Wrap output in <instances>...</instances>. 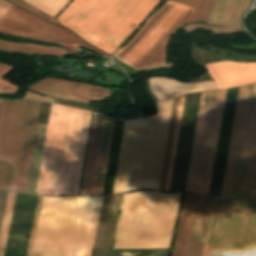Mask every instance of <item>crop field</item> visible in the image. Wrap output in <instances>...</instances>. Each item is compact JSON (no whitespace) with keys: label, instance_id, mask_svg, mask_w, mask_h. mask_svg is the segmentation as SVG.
Wrapping results in <instances>:
<instances>
[{"label":"crop field","instance_id":"1","mask_svg":"<svg viewBox=\"0 0 256 256\" xmlns=\"http://www.w3.org/2000/svg\"><path fill=\"white\" fill-rule=\"evenodd\" d=\"M90 115L52 104L36 193L77 195Z\"/></svg>","mask_w":256,"mask_h":256},{"label":"crop field","instance_id":"2","mask_svg":"<svg viewBox=\"0 0 256 256\" xmlns=\"http://www.w3.org/2000/svg\"><path fill=\"white\" fill-rule=\"evenodd\" d=\"M103 197H44L31 256H91Z\"/></svg>","mask_w":256,"mask_h":256},{"label":"crop field","instance_id":"3","mask_svg":"<svg viewBox=\"0 0 256 256\" xmlns=\"http://www.w3.org/2000/svg\"><path fill=\"white\" fill-rule=\"evenodd\" d=\"M172 102L158 103L149 119L125 122L113 194L158 189Z\"/></svg>","mask_w":256,"mask_h":256},{"label":"crop field","instance_id":"4","mask_svg":"<svg viewBox=\"0 0 256 256\" xmlns=\"http://www.w3.org/2000/svg\"><path fill=\"white\" fill-rule=\"evenodd\" d=\"M158 2L73 0L56 19L87 42L112 54Z\"/></svg>","mask_w":256,"mask_h":256},{"label":"crop field","instance_id":"5","mask_svg":"<svg viewBox=\"0 0 256 256\" xmlns=\"http://www.w3.org/2000/svg\"><path fill=\"white\" fill-rule=\"evenodd\" d=\"M181 194H124L113 249L170 248Z\"/></svg>","mask_w":256,"mask_h":256},{"label":"crop field","instance_id":"6","mask_svg":"<svg viewBox=\"0 0 256 256\" xmlns=\"http://www.w3.org/2000/svg\"><path fill=\"white\" fill-rule=\"evenodd\" d=\"M238 254L256 256V201L215 197L202 256Z\"/></svg>","mask_w":256,"mask_h":256},{"label":"crop field","instance_id":"7","mask_svg":"<svg viewBox=\"0 0 256 256\" xmlns=\"http://www.w3.org/2000/svg\"><path fill=\"white\" fill-rule=\"evenodd\" d=\"M192 10L168 1L114 57L141 71L165 65L169 37L189 19Z\"/></svg>","mask_w":256,"mask_h":256},{"label":"crop field","instance_id":"8","mask_svg":"<svg viewBox=\"0 0 256 256\" xmlns=\"http://www.w3.org/2000/svg\"><path fill=\"white\" fill-rule=\"evenodd\" d=\"M227 90L201 95L185 192L209 194ZM204 96L216 102H202Z\"/></svg>","mask_w":256,"mask_h":256},{"label":"crop field","instance_id":"9","mask_svg":"<svg viewBox=\"0 0 256 256\" xmlns=\"http://www.w3.org/2000/svg\"><path fill=\"white\" fill-rule=\"evenodd\" d=\"M247 88L248 86L240 87V89L238 87V88L230 89L227 92V98H226V104H225V110H224V116H223V122L221 127V133H220V139H219V145H218V151H217V157L215 162L210 195L220 196L221 194L224 170L226 165L229 141L231 136L233 118H234L238 89H239L236 113L234 118L231 142L229 147L227 165H226L222 194H221V196L229 197L234 164H235L236 153H237V147H238V141H239V135H240V129H241V123H242L244 106H245V100H246V94H247Z\"/></svg>","mask_w":256,"mask_h":256},{"label":"crop field","instance_id":"10","mask_svg":"<svg viewBox=\"0 0 256 256\" xmlns=\"http://www.w3.org/2000/svg\"><path fill=\"white\" fill-rule=\"evenodd\" d=\"M0 32L27 39L60 43L73 54L82 46L107 58L110 57L90 47L59 25L34 16L14 5H11L0 21Z\"/></svg>","mask_w":256,"mask_h":256},{"label":"crop field","instance_id":"11","mask_svg":"<svg viewBox=\"0 0 256 256\" xmlns=\"http://www.w3.org/2000/svg\"><path fill=\"white\" fill-rule=\"evenodd\" d=\"M28 88L39 92L76 97L91 101H103L108 98L111 91L89 84L59 79H44Z\"/></svg>","mask_w":256,"mask_h":256},{"label":"crop field","instance_id":"12","mask_svg":"<svg viewBox=\"0 0 256 256\" xmlns=\"http://www.w3.org/2000/svg\"><path fill=\"white\" fill-rule=\"evenodd\" d=\"M218 90L256 82V62H218L205 65Z\"/></svg>","mask_w":256,"mask_h":256},{"label":"crop field","instance_id":"13","mask_svg":"<svg viewBox=\"0 0 256 256\" xmlns=\"http://www.w3.org/2000/svg\"><path fill=\"white\" fill-rule=\"evenodd\" d=\"M121 196L104 197L93 249H110Z\"/></svg>","mask_w":256,"mask_h":256},{"label":"crop field","instance_id":"14","mask_svg":"<svg viewBox=\"0 0 256 256\" xmlns=\"http://www.w3.org/2000/svg\"><path fill=\"white\" fill-rule=\"evenodd\" d=\"M214 197L199 196L187 256H201Z\"/></svg>","mask_w":256,"mask_h":256},{"label":"crop field","instance_id":"15","mask_svg":"<svg viewBox=\"0 0 256 256\" xmlns=\"http://www.w3.org/2000/svg\"><path fill=\"white\" fill-rule=\"evenodd\" d=\"M149 84L159 101L191 92L217 89L214 82L186 84L166 78H151Z\"/></svg>","mask_w":256,"mask_h":256},{"label":"crop field","instance_id":"16","mask_svg":"<svg viewBox=\"0 0 256 256\" xmlns=\"http://www.w3.org/2000/svg\"><path fill=\"white\" fill-rule=\"evenodd\" d=\"M198 196L185 194L172 256H186Z\"/></svg>","mask_w":256,"mask_h":256},{"label":"crop field","instance_id":"17","mask_svg":"<svg viewBox=\"0 0 256 256\" xmlns=\"http://www.w3.org/2000/svg\"><path fill=\"white\" fill-rule=\"evenodd\" d=\"M255 143H256V87H255V93H254V99H253V105H252V111H251V117H250V123H249V129H248V135H247V141H246L237 198L246 199V196H247Z\"/></svg>","mask_w":256,"mask_h":256},{"label":"crop field","instance_id":"18","mask_svg":"<svg viewBox=\"0 0 256 256\" xmlns=\"http://www.w3.org/2000/svg\"><path fill=\"white\" fill-rule=\"evenodd\" d=\"M113 123V119L105 117L91 195L102 194L103 191Z\"/></svg>","mask_w":256,"mask_h":256},{"label":"crop field","instance_id":"19","mask_svg":"<svg viewBox=\"0 0 256 256\" xmlns=\"http://www.w3.org/2000/svg\"><path fill=\"white\" fill-rule=\"evenodd\" d=\"M244 0H215L207 24L235 27Z\"/></svg>","mask_w":256,"mask_h":256},{"label":"crop field","instance_id":"20","mask_svg":"<svg viewBox=\"0 0 256 256\" xmlns=\"http://www.w3.org/2000/svg\"><path fill=\"white\" fill-rule=\"evenodd\" d=\"M124 122L115 120L103 195L112 194Z\"/></svg>","mask_w":256,"mask_h":256},{"label":"crop field","instance_id":"21","mask_svg":"<svg viewBox=\"0 0 256 256\" xmlns=\"http://www.w3.org/2000/svg\"><path fill=\"white\" fill-rule=\"evenodd\" d=\"M254 86H255V84L250 85L248 88V94H247V100H246V106H245L244 118H243V123H242V129H241V135H240V141H239V147H238V153H237V159H236V164H235V170H234V176H233L230 197H236V194H237V188H238V182H239V176H240V170H241V164H242V158H243V152H244V146H245V140H246L252 98H253V92H254Z\"/></svg>","mask_w":256,"mask_h":256},{"label":"crop field","instance_id":"22","mask_svg":"<svg viewBox=\"0 0 256 256\" xmlns=\"http://www.w3.org/2000/svg\"><path fill=\"white\" fill-rule=\"evenodd\" d=\"M103 119H104L103 116L96 114L82 195H90L91 193V187H92L95 164H96L97 153L99 148Z\"/></svg>","mask_w":256,"mask_h":256},{"label":"crop field","instance_id":"23","mask_svg":"<svg viewBox=\"0 0 256 256\" xmlns=\"http://www.w3.org/2000/svg\"><path fill=\"white\" fill-rule=\"evenodd\" d=\"M47 125L38 124L26 192L35 193ZM39 134V135H37Z\"/></svg>","mask_w":256,"mask_h":256},{"label":"crop field","instance_id":"24","mask_svg":"<svg viewBox=\"0 0 256 256\" xmlns=\"http://www.w3.org/2000/svg\"><path fill=\"white\" fill-rule=\"evenodd\" d=\"M0 51H11L16 53L44 54L60 57L67 51L61 48L21 44L0 39Z\"/></svg>","mask_w":256,"mask_h":256},{"label":"crop field","instance_id":"25","mask_svg":"<svg viewBox=\"0 0 256 256\" xmlns=\"http://www.w3.org/2000/svg\"><path fill=\"white\" fill-rule=\"evenodd\" d=\"M171 1L194 8L191 18L186 23H193L194 21H207L209 9L213 2V0H205L204 2L203 0H171ZM200 6H201V9L199 11Z\"/></svg>","mask_w":256,"mask_h":256},{"label":"crop field","instance_id":"26","mask_svg":"<svg viewBox=\"0 0 256 256\" xmlns=\"http://www.w3.org/2000/svg\"><path fill=\"white\" fill-rule=\"evenodd\" d=\"M178 100H179V97L175 98L174 102H173V108H172V114H171V120H170V126H169V132H168V138H167V144H166V150H165V156H164V162H163V168H162V174H161V180H160V186H159V189H162V190H164V187H165V181H166V175H167V169H168V162H169V156H170V150H171V143H172V137H173V131H174V125H175Z\"/></svg>","mask_w":256,"mask_h":256},{"label":"crop field","instance_id":"27","mask_svg":"<svg viewBox=\"0 0 256 256\" xmlns=\"http://www.w3.org/2000/svg\"><path fill=\"white\" fill-rule=\"evenodd\" d=\"M52 17H56L70 0H24Z\"/></svg>","mask_w":256,"mask_h":256},{"label":"crop field","instance_id":"28","mask_svg":"<svg viewBox=\"0 0 256 256\" xmlns=\"http://www.w3.org/2000/svg\"><path fill=\"white\" fill-rule=\"evenodd\" d=\"M15 195H16V193L9 192L7 204L5 203L6 208H5L2 228H1V232H0V256H3L4 249H5V244H6L11 214H12V210H13Z\"/></svg>","mask_w":256,"mask_h":256},{"label":"crop field","instance_id":"29","mask_svg":"<svg viewBox=\"0 0 256 256\" xmlns=\"http://www.w3.org/2000/svg\"><path fill=\"white\" fill-rule=\"evenodd\" d=\"M184 97H185V95L181 96L180 100H179V106H178L176 125H175V131H174L173 144H172V150H171V156H170L169 169H168L165 190H169V187H170V181H171V175H172V169H173V163H174V157H175V151H176L182 109H183V103H184Z\"/></svg>","mask_w":256,"mask_h":256},{"label":"crop field","instance_id":"30","mask_svg":"<svg viewBox=\"0 0 256 256\" xmlns=\"http://www.w3.org/2000/svg\"><path fill=\"white\" fill-rule=\"evenodd\" d=\"M11 66L0 64V93L13 94L17 91L18 87L11 85L8 81L1 80L4 73L8 71Z\"/></svg>","mask_w":256,"mask_h":256},{"label":"crop field","instance_id":"31","mask_svg":"<svg viewBox=\"0 0 256 256\" xmlns=\"http://www.w3.org/2000/svg\"><path fill=\"white\" fill-rule=\"evenodd\" d=\"M42 199H43V197L39 196L26 256L31 255L32 245H33L36 226H37L38 217H39L38 213L40 212L39 209L41 207Z\"/></svg>","mask_w":256,"mask_h":256},{"label":"crop field","instance_id":"32","mask_svg":"<svg viewBox=\"0 0 256 256\" xmlns=\"http://www.w3.org/2000/svg\"><path fill=\"white\" fill-rule=\"evenodd\" d=\"M255 197H256V149H255V155H254V161H253V167H252V173H251V179H250V185H249L247 199L255 200Z\"/></svg>","mask_w":256,"mask_h":256},{"label":"crop field","instance_id":"33","mask_svg":"<svg viewBox=\"0 0 256 256\" xmlns=\"http://www.w3.org/2000/svg\"><path fill=\"white\" fill-rule=\"evenodd\" d=\"M7 194H8L7 191L0 190V228H1L2 218H3L5 203L7 199Z\"/></svg>","mask_w":256,"mask_h":256},{"label":"crop field","instance_id":"34","mask_svg":"<svg viewBox=\"0 0 256 256\" xmlns=\"http://www.w3.org/2000/svg\"><path fill=\"white\" fill-rule=\"evenodd\" d=\"M9 1H11V2H13V3L17 4V5H20L23 8H25V9H27V10H29V11H31V12H33V13L41 16V17H43V18H46V19H49V20L55 22L53 19L49 18L48 16H46V15L42 14L41 12H39V11L29 7V6H27L26 4H24V3L20 2V1H17V0H9Z\"/></svg>","mask_w":256,"mask_h":256},{"label":"crop field","instance_id":"35","mask_svg":"<svg viewBox=\"0 0 256 256\" xmlns=\"http://www.w3.org/2000/svg\"><path fill=\"white\" fill-rule=\"evenodd\" d=\"M9 7H10L9 3L5 2L4 0H0V20Z\"/></svg>","mask_w":256,"mask_h":256},{"label":"crop field","instance_id":"36","mask_svg":"<svg viewBox=\"0 0 256 256\" xmlns=\"http://www.w3.org/2000/svg\"><path fill=\"white\" fill-rule=\"evenodd\" d=\"M2 102L3 100H0V114H1Z\"/></svg>","mask_w":256,"mask_h":256},{"label":"crop field","instance_id":"37","mask_svg":"<svg viewBox=\"0 0 256 256\" xmlns=\"http://www.w3.org/2000/svg\"><path fill=\"white\" fill-rule=\"evenodd\" d=\"M119 213H120V211H119ZM118 216H119V214H118ZM113 242H114V240H113ZM112 247H113V243H112ZM112 247H111V249H112Z\"/></svg>","mask_w":256,"mask_h":256}]
</instances>
